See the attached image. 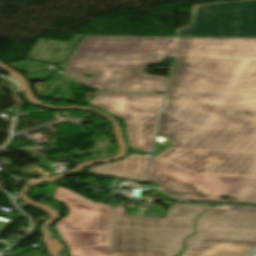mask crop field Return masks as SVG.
Wrapping results in <instances>:
<instances>
[{"instance_id":"crop-field-1","label":"crop field","mask_w":256,"mask_h":256,"mask_svg":"<svg viewBox=\"0 0 256 256\" xmlns=\"http://www.w3.org/2000/svg\"><path fill=\"white\" fill-rule=\"evenodd\" d=\"M167 57L145 182L184 201L256 204V39L85 36L63 70L99 90L164 92L168 77L144 72Z\"/></svg>"},{"instance_id":"crop-field-2","label":"crop field","mask_w":256,"mask_h":256,"mask_svg":"<svg viewBox=\"0 0 256 256\" xmlns=\"http://www.w3.org/2000/svg\"><path fill=\"white\" fill-rule=\"evenodd\" d=\"M207 205L172 204L165 218L125 216L114 206L112 256H177Z\"/></svg>"},{"instance_id":"crop-field-3","label":"crop field","mask_w":256,"mask_h":256,"mask_svg":"<svg viewBox=\"0 0 256 256\" xmlns=\"http://www.w3.org/2000/svg\"><path fill=\"white\" fill-rule=\"evenodd\" d=\"M34 197L50 196L61 201L68 215L55 224L71 256H111L113 206L97 204L65 188L47 185L37 188Z\"/></svg>"},{"instance_id":"crop-field-4","label":"crop field","mask_w":256,"mask_h":256,"mask_svg":"<svg viewBox=\"0 0 256 256\" xmlns=\"http://www.w3.org/2000/svg\"><path fill=\"white\" fill-rule=\"evenodd\" d=\"M179 256H245L256 247V207L213 206Z\"/></svg>"},{"instance_id":"crop-field-5","label":"crop field","mask_w":256,"mask_h":256,"mask_svg":"<svg viewBox=\"0 0 256 256\" xmlns=\"http://www.w3.org/2000/svg\"><path fill=\"white\" fill-rule=\"evenodd\" d=\"M162 98L163 95L101 92L86 105L121 119L130 149L150 153Z\"/></svg>"},{"instance_id":"crop-field-6","label":"crop field","mask_w":256,"mask_h":256,"mask_svg":"<svg viewBox=\"0 0 256 256\" xmlns=\"http://www.w3.org/2000/svg\"><path fill=\"white\" fill-rule=\"evenodd\" d=\"M176 37L256 38V0L194 6L192 25L178 28Z\"/></svg>"},{"instance_id":"crop-field-7","label":"crop field","mask_w":256,"mask_h":256,"mask_svg":"<svg viewBox=\"0 0 256 256\" xmlns=\"http://www.w3.org/2000/svg\"><path fill=\"white\" fill-rule=\"evenodd\" d=\"M150 156L131 154L125 159L88 169V172L139 181L144 178Z\"/></svg>"},{"instance_id":"crop-field-8","label":"crop field","mask_w":256,"mask_h":256,"mask_svg":"<svg viewBox=\"0 0 256 256\" xmlns=\"http://www.w3.org/2000/svg\"><path fill=\"white\" fill-rule=\"evenodd\" d=\"M9 224L0 222V234Z\"/></svg>"},{"instance_id":"crop-field-9","label":"crop field","mask_w":256,"mask_h":256,"mask_svg":"<svg viewBox=\"0 0 256 256\" xmlns=\"http://www.w3.org/2000/svg\"><path fill=\"white\" fill-rule=\"evenodd\" d=\"M253 256H256V253Z\"/></svg>"}]
</instances>
